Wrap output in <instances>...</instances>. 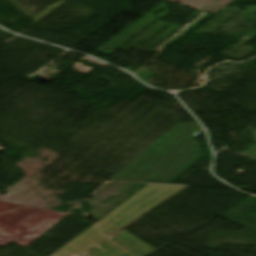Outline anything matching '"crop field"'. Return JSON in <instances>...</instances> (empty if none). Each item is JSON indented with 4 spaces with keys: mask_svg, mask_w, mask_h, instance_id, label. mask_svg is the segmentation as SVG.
Segmentation results:
<instances>
[{
    "mask_svg": "<svg viewBox=\"0 0 256 256\" xmlns=\"http://www.w3.org/2000/svg\"><path fill=\"white\" fill-rule=\"evenodd\" d=\"M134 221L108 214L51 256H83Z\"/></svg>",
    "mask_w": 256,
    "mask_h": 256,
    "instance_id": "8a807250",
    "label": "crop field"
},
{
    "mask_svg": "<svg viewBox=\"0 0 256 256\" xmlns=\"http://www.w3.org/2000/svg\"><path fill=\"white\" fill-rule=\"evenodd\" d=\"M182 188L184 187L147 185L110 212L111 214L137 220Z\"/></svg>",
    "mask_w": 256,
    "mask_h": 256,
    "instance_id": "ac0d7876",
    "label": "crop field"
},
{
    "mask_svg": "<svg viewBox=\"0 0 256 256\" xmlns=\"http://www.w3.org/2000/svg\"><path fill=\"white\" fill-rule=\"evenodd\" d=\"M155 251L123 229L85 256H148Z\"/></svg>",
    "mask_w": 256,
    "mask_h": 256,
    "instance_id": "34b2d1b8",
    "label": "crop field"
}]
</instances>
